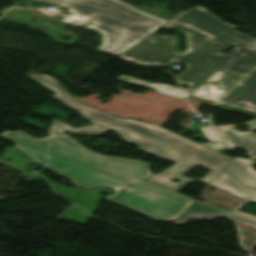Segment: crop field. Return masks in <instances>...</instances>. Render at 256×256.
Here are the masks:
<instances>
[{"instance_id": "obj_1", "label": "crop field", "mask_w": 256, "mask_h": 256, "mask_svg": "<svg viewBox=\"0 0 256 256\" xmlns=\"http://www.w3.org/2000/svg\"><path fill=\"white\" fill-rule=\"evenodd\" d=\"M0 136L78 186L114 188L117 193L105 198L155 220H177L194 201L141 180L152 176L149 162L98 154L67 135L35 139L22 131H6Z\"/></svg>"}, {"instance_id": "obj_2", "label": "crop field", "mask_w": 256, "mask_h": 256, "mask_svg": "<svg viewBox=\"0 0 256 256\" xmlns=\"http://www.w3.org/2000/svg\"><path fill=\"white\" fill-rule=\"evenodd\" d=\"M29 77L55 92L56 95L52 98L64 102L65 106L68 108L81 112L82 117L91 121L93 125L74 129L64 123L68 113L47 105L39 108L34 113L52 119L51 127L29 118L30 115L23 121L44 131H47L45 130L46 127L50 128L48 132L51 135H65L63 132L67 131L75 134L100 136L105 131L115 130L125 141L138 148L177 163L163 173L145 180L169 187L176 191L195 181L210 184L219 172L233 159L162 127L141 123L136 120L120 118L87 106L75 100L71 94L52 77L42 74H33ZM53 112L61 115L62 121L55 120L48 116ZM199 165L212 170L204 179L192 180L183 175ZM173 179H179L180 182L174 183L171 181Z\"/></svg>"}, {"instance_id": "obj_3", "label": "crop field", "mask_w": 256, "mask_h": 256, "mask_svg": "<svg viewBox=\"0 0 256 256\" xmlns=\"http://www.w3.org/2000/svg\"><path fill=\"white\" fill-rule=\"evenodd\" d=\"M162 27L178 28L187 35L186 52H175L174 37L148 36L120 58L141 66L185 64V70L176 77L180 84H189L187 89L194 92L233 58L222 54L233 46L214 38L237 26L201 6L186 10Z\"/></svg>"}, {"instance_id": "obj_4", "label": "crop field", "mask_w": 256, "mask_h": 256, "mask_svg": "<svg viewBox=\"0 0 256 256\" xmlns=\"http://www.w3.org/2000/svg\"><path fill=\"white\" fill-rule=\"evenodd\" d=\"M70 8L98 21L93 29L103 35L100 50L119 55L169 21L118 0H39Z\"/></svg>"}, {"instance_id": "obj_5", "label": "crop field", "mask_w": 256, "mask_h": 256, "mask_svg": "<svg viewBox=\"0 0 256 256\" xmlns=\"http://www.w3.org/2000/svg\"><path fill=\"white\" fill-rule=\"evenodd\" d=\"M217 39L236 46L227 55L233 58L222 70L238 71L247 74L256 66V38L232 30Z\"/></svg>"}, {"instance_id": "obj_6", "label": "crop field", "mask_w": 256, "mask_h": 256, "mask_svg": "<svg viewBox=\"0 0 256 256\" xmlns=\"http://www.w3.org/2000/svg\"><path fill=\"white\" fill-rule=\"evenodd\" d=\"M219 104L228 110L256 117V68L237 87L225 94Z\"/></svg>"}, {"instance_id": "obj_7", "label": "crop field", "mask_w": 256, "mask_h": 256, "mask_svg": "<svg viewBox=\"0 0 256 256\" xmlns=\"http://www.w3.org/2000/svg\"><path fill=\"white\" fill-rule=\"evenodd\" d=\"M245 74L220 70L189 99L214 106L222 93L237 84Z\"/></svg>"}, {"instance_id": "obj_8", "label": "crop field", "mask_w": 256, "mask_h": 256, "mask_svg": "<svg viewBox=\"0 0 256 256\" xmlns=\"http://www.w3.org/2000/svg\"><path fill=\"white\" fill-rule=\"evenodd\" d=\"M230 211L195 200L175 222L184 225L190 218L213 219L228 215Z\"/></svg>"}, {"instance_id": "obj_9", "label": "crop field", "mask_w": 256, "mask_h": 256, "mask_svg": "<svg viewBox=\"0 0 256 256\" xmlns=\"http://www.w3.org/2000/svg\"><path fill=\"white\" fill-rule=\"evenodd\" d=\"M255 163L249 159L235 157L224 169L246 186L256 188V170L252 168Z\"/></svg>"}, {"instance_id": "obj_10", "label": "crop field", "mask_w": 256, "mask_h": 256, "mask_svg": "<svg viewBox=\"0 0 256 256\" xmlns=\"http://www.w3.org/2000/svg\"><path fill=\"white\" fill-rule=\"evenodd\" d=\"M211 185L228 190L231 193L245 199H247L248 196H251L256 191L255 189H249L241 185L224 170H222L220 174L213 180Z\"/></svg>"}, {"instance_id": "obj_11", "label": "crop field", "mask_w": 256, "mask_h": 256, "mask_svg": "<svg viewBox=\"0 0 256 256\" xmlns=\"http://www.w3.org/2000/svg\"><path fill=\"white\" fill-rule=\"evenodd\" d=\"M117 80L128 82L141 87L153 89L160 93L168 94V95L183 98V99H185L189 95V93L184 89L162 85V84H153V83L141 81L125 75H121L119 78H117Z\"/></svg>"}, {"instance_id": "obj_12", "label": "crop field", "mask_w": 256, "mask_h": 256, "mask_svg": "<svg viewBox=\"0 0 256 256\" xmlns=\"http://www.w3.org/2000/svg\"><path fill=\"white\" fill-rule=\"evenodd\" d=\"M71 12H73V16L71 18L67 19V21H69L73 24L83 23V24H87V25H90L91 27H93L97 23L96 21L86 18L72 10H71Z\"/></svg>"}, {"instance_id": "obj_13", "label": "crop field", "mask_w": 256, "mask_h": 256, "mask_svg": "<svg viewBox=\"0 0 256 256\" xmlns=\"http://www.w3.org/2000/svg\"><path fill=\"white\" fill-rule=\"evenodd\" d=\"M243 149L249 152L247 155L256 157V135L253 136Z\"/></svg>"}, {"instance_id": "obj_14", "label": "crop field", "mask_w": 256, "mask_h": 256, "mask_svg": "<svg viewBox=\"0 0 256 256\" xmlns=\"http://www.w3.org/2000/svg\"><path fill=\"white\" fill-rule=\"evenodd\" d=\"M252 200L256 201V195ZM233 215H236V216H239V217H242V218H245V219L256 222V216H253L251 214H248V213H245V212H242V211H239V210H237L235 213H233Z\"/></svg>"}, {"instance_id": "obj_15", "label": "crop field", "mask_w": 256, "mask_h": 256, "mask_svg": "<svg viewBox=\"0 0 256 256\" xmlns=\"http://www.w3.org/2000/svg\"><path fill=\"white\" fill-rule=\"evenodd\" d=\"M231 217H232L234 220L238 221V222L245 223V224H248V225H251V226H255V227H256V224H254V223H251V222H248V221H245V220H242V219L233 217V216H231Z\"/></svg>"}]
</instances>
